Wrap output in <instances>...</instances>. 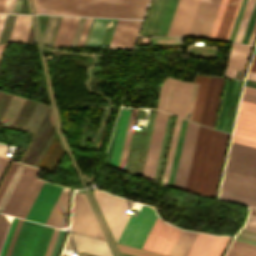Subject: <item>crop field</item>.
Masks as SVG:
<instances>
[{
    "instance_id": "1",
    "label": "crop field",
    "mask_w": 256,
    "mask_h": 256,
    "mask_svg": "<svg viewBox=\"0 0 256 256\" xmlns=\"http://www.w3.org/2000/svg\"><path fill=\"white\" fill-rule=\"evenodd\" d=\"M228 136L200 125L186 191L214 197Z\"/></svg>"
},
{
    "instance_id": "2",
    "label": "crop field",
    "mask_w": 256,
    "mask_h": 256,
    "mask_svg": "<svg viewBox=\"0 0 256 256\" xmlns=\"http://www.w3.org/2000/svg\"><path fill=\"white\" fill-rule=\"evenodd\" d=\"M37 13L142 19L148 0H33Z\"/></svg>"
},
{
    "instance_id": "3",
    "label": "crop field",
    "mask_w": 256,
    "mask_h": 256,
    "mask_svg": "<svg viewBox=\"0 0 256 256\" xmlns=\"http://www.w3.org/2000/svg\"><path fill=\"white\" fill-rule=\"evenodd\" d=\"M209 79L210 77H207V76L196 75L194 85H193V83H190V82H183V81L176 82L175 79H173L172 81V79L167 77L166 81L163 82L162 84L157 109L165 112L168 95L170 91V86H171V81H172L170 96H169L167 110H166V112L169 113L172 96L174 92V87H175V82H176V87H175V92H174L170 113L185 119L188 103L190 99L191 89L193 85L186 119L199 123Z\"/></svg>"
},
{
    "instance_id": "4",
    "label": "crop field",
    "mask_w": 256,
    "mask_h": 256,
    "mask_svg": "<svg viewBox=\"0 0 256 256\" xmlns=\"http://www.w3.org/2000/svg\"><path fill=\"white\" fill-rule=\"evenodd\" d=\"M53 230L24 220L11 256H44Z\"/></svg>"
},
{
    "instance_id": "5",
    "label": "crop field",
    "mask_w": 256,
    "mask_h": 256,
    "mask_svg": "<svg viewBox=\"0 0 256 256\" xmlns=\"http://www.w3.org/2000/svg\"><path fill=\"white\" fill-rule=\"evenodd\" d=\"M93 196L112 236L117 241L129 217L127 211L132 202L108 195L97 189L93 191Z\"/></svg>"
},
{
    "instance_id": "6",
    "label": "crop field",
    "mask_w": 256,
    "mask_h": 256,
    "mask_svg": "<svg viewBox=\"0 0 256 256\" xmlns=\"http://www.w3.org/2000/svg\"><path fill=\"white\" fill-rule=\"evenodd\" d=\"M178 0H152L140 35H166Z\"/></svg>"
},
{
    "instance_id": "7",
    "label": "crop field",
    "mask_w": 256,
    "mask_h": 256,
    "mask_svg": "<svg viewBox=\"0 0 256 256\" xmlns=\"http://www.w3.org/2000/svg\"><path fill=\"white\" fill-rule=\"evenodd\" d=\"M156 217L153 208L142 206L139 214L130 216L118 242L141 248Z\"/></svg>"
},
{
    "instance_id": "8",
    "label": "crop field",
    "mask_w": 256,
    "mask_h": 256,
    "mask_svg": "<svg viewBox=\"0 0 256 256\" xmlns=\"http://www.w3.org/2000/svg\"><path fill=\"white\" fill-rule=\"evenodd\" d=\"M70 231L106 240L85 196L82 194L76 193L74 196Z\"/></svg>"
},
{
    "instance_id": "9",
    "label": "crop field",
    "mask_w": 256,
    "mask_h": 256,
    "mask_svg": "<svg viewBox=\"0 0 256 256\" xmlns=\"http://www.w3.org/2000/svg\"><path fill=\"white\" fill-rule=\"evenodd\" d=\"M156 110H150L146 129L134 132L125 169L129 174L141 175L146 157L148 143L151 135Z\"/></svg>"
},
{
    "instance_id": "10",
    "label": "crop field",
    "mask_w": 256,
    "mask_h": 256,
    "mask_svg": "<svg viewBox=\"0 0 256 256\" xmlns=\"http://www.w3.org/2000/svg\"><path fill=\"white\" fill-rule=\"evenodd\" d=\"M225 170L256 178V148L231 142Z\"/></svg>"
},
{
    "instance_id": "11",
    "label": "crop field",
    "mask_w": 256,
    "mask_h": 256,
    "mask_svg": "<svg viewBox=\"0 0 256 256\" xmlns=\"http://www.w3.org/2000/svg\"><path fill=\"white\" fill-rule=\"evenodd\" d=\"M179 232L180 229L166 224L157 217L142 248L168 255Z\"/></svg>"
},
{
    "instance_id": "12",
    "label": "crop field",
    "mask_w": 256,
    "mask_h": 256,
    "mask_svg": "<svg viewBox=\"0 0 256 256\" xmlns=\"http://www.w3.org/2000/svg\"><path fill=\"white\" fill-rule=\"evenodd\" d=\"M62 187L43 183L26 219L45 224Z\"/></svg>"
},
{
    "instance_id": "13",
    "label": "crop field",
    "mask_w": 256,
    "mask_h": 256,
    "mask_svg": "<svg viewBox=\"0 0 256 256\" xmlns=\"http://www.w3.org/2000/svg\"><path fill=\"white\" fill-rule=\"evenodd\" d=\"M167 114L158 112L156 113L155 122L152 130L150 144L147 152L145 166L143 170V177L152 179L154 178L155 169L158 161L160 147L163 139L165 125L167 121Z\"/></svg>"
},
{
    "instance_id": "14",
    "label": "crop field",
    "mask_w": 256,
    "mask_h": 256,
    "mask_svg": "<svg viewBox=\"0 0 256 256\" xmlns=\"http://www.w3.org/2000/svg\"><path fill=\"white\" fill-rule=\"evenodd\" d=\"M198 127H199L198 124H195L189 121L187 123L182 150H181L177 172L175 176V181L173 185L174 188H180L183 190L185 188Z\"/></svg>"
},
{
    "instance_id": "15",
    "label": "crop field",
    "mask_w": 256,
    "mask_h": 256,
    "mask_svg": "<svg viewBox=\"0 0 256 256\" xmlns=\"http://www.w3.org/2000/svg\"><path fill=\"white\" fill-rule=\"evenodd\" d=\"M241 0H222L210 37L227 41Z\"/></svg>"
},
{
    "instance_id": "16",
    "label": "crop field",
    "mask_w": 256,
    "mask_h": 256,
    "mask_svg": "<svg viewBox=\"0 0 256 256\" xmlns=\"http://www.w3.org/2000/svg\"><path fill=\"white\" fill-rule=\"evenodd\" d=\"M221 0H200L188 36L208 38Z\"/></svg>"
},
{
    "instance_id": "17",
    "label": "crop field",
    "mask_w": 256,
    "mask_h": 256,
    "mask_svg": "<svg viewBox=\"0 0 256 256\" xmlns=\"http://www.w3.org/2000/svg\"><path fill=\"white\" fill-rule=\"evenodd\" d=\"M235 82H236V80H231V79H227V81H226V85H225V89H224V93H223V97H222V101H221V106H220V110H219V114H218V118H217V122H216V126H215L216 129H220L223 131L225 130V126H226V122H227V118H228V114H229V110H230V106H231V102H232V101H230V98H231V95H233V93H234ZM242 82L243 81L237 80L236 88H241ZM236 88H235V91H236ZM240 91H241V89H237V94H236L233 110L231 107L232 115H231V111L229 114L226 130H225L227 132L230 115H231V120H230V125H229V130H228L229 133H231V130H232ZM234 96H235V94H234ZM234 96H232V98H231V100H233V101H234ZM232 105H233V103H232Z\"/></svg>"
},
{
    "instance_id": "18",
    "label": "crop field",
    "mask_w": 256,
    "mask_h": 256,
    "mask_svg": "<svg viewBox=\"0 0 256 256\" xmlns=\"http://www.w3.org/2000/svg\"><path fill=\"white\" fill-rule=\"evenodd\" d=\"M39 169L25 166L3 213L16 216L24 198L26 197Z\"/></svg>"
},
{
    "instance_id": "19",
    "label": "crop field",
    "mask_w": 256,
    "mask_h": 256,
    "mask_svg": "<svg viewBox=\"0 0 256 256\" xmlns=\"http://www.w3.org/2000/svg\"><path fill=\"white\" fill-rule=\"evenodd\" d=\"M199 0H179L167 35H188Z\"/></svg>"
},
{
    "instance_id": "20",
    "label": "crop field",
    "mask_w": 256,
    "mask_h": 256,
    "mask_svg": "<svg viewBox=\"0 0 256 256\" xmlns=\"http://www.w3.org/2000/svg\"><path fill=\"white\" fill-rule=\"evenodd\" d=\"M65 248L97 255V256H112L107 242L70 233Z\"/></svg>"
},
{
    "instance_id": "21",
    "label": "crop field",
    "mask_w": 256,
    "mask_h": 256,
    "mask_svg": "<svg viewBox=\"0 0 256 256\" xmlns=\"http://www.w3.org/2000/svg\"><path fill=\"white\" fill-rule=\"evenodd\" d=\"M231 141L256 147V116L238 112Z\"/></svg>"
},
{
    "instance_id": "22",
    "label": "crop field",
    "mask_w": 256,
    "mask_h": 256,
    "mask_svg": "<svg viewBox=\"0 0 256 256\" xmlns=\"http://www.w3.org/2000/svg\"><path fill=\"white\" fill-rule=\"evenodd\" d=\"M223 80L224 78L211 77L200 121L201 124L212 128L215 122Z\"/></svg>"
},
{
    "instance_id": "23",
    "label": "crop field",
    "mask_w": 256,
    "mask_h": 256,
    "mask_svg": "<svg viewBox=\"0 0 256 256\" xmlns=\"http://www.w3.org/2000/svg\"><path fill=\"white\" fill-rule=\"evenodd\" d=\"M252 47L233 43L224 76L235 77L237 70H242L237 72L236 77H239L240 72L239 78L243 77Z\"/></svg>"
},
{
    "instance_id": "24",
    "label": "crop field",
    "mask_w": 256,
    "mask_h": 256,
    "mask_svg": "<svg viewBox=\"0 0 256 256\" xmlns=\"http://www.w3.org/2000/svg\"><path fill=\"white\" fill-rule=\"evenodd\" d=\"M70 190L63 188L47 222L46 225L54 227L67 226L68 219V203Z\"/></svg>"
},
{
    "instance_id": "25",
    "label": "crop field",
    "mask_w": 256,
    "mask_h": 256,
    "mask_svg": "<svg viewBox=\"0 0 256 256\" xmlns=\"http://www.w3.org/2000/svg\"><path fill=\"white\" fill-rule=\"evenodd\" d=\"M140 23L124 20L114 48L132 49Z\"/></svg>"
},
{
    "instance_id": "26",
    "label": "crop field",
    "mask_w": 256,
    "mask_h": 256,
    "mask_svg": "<svg viewBox=\"0 0 256 256\" xmlns=\"http://www.w3.org/2000/svg\"><path fill=\"white\" fill-rule=\"evenodd\" d=\"M130 111L131 109L123 107L120 120H119L118 130H117L112 158L110 162V166H113L116 168L118 166V162L121 154V149L124 141V136H125V132L128 124Z\"/></svg>"
},
{
    "instance_id": "27",
    "label": "crop field",
    "mask_w": 256,
    "mask_h": 256,
    "mask_svg": "<svg viewBox=\"0 0 256 256\" xmlns=\"http://www.w3.org/2000/svg\"><path fill=\"white\" fill-rule=\"evenodd\" d=\"M30 25H31V20L29 16L17 15L8 42L25 43Z\"/></svg>"
},
{
    "instance_id": "28",
    "label": "crop field",
    "mask_w": 256,
    "mask_h": 256,
    "mask_svg": "<svg viewBox=\"0 0 256 256\" xmlns=\"http://www.w3.org/2000/svg\"><path fill=\"white\" fill-rule=\"evenodd\" d=\"M197 233L187 232L182 230L170 255L171 256H186Z\"/></svg>"
},
{
    "instance_id": "29",
    "label": "crop field",
    "mask_w": 256,
    "mask_h": 256,
    "mask_svg": "<svg viewBox=\"0 0 256 256\" xmlns=\"http://www.w3.org/2000/svg\"><path fill=\"white\" fill-rule=\"evenodd\" d=\"M79 18L66 17L56 46H69Z\"/></svg>"
},
{
    "instance_id": "30",
    "label": "crop field",
    "mask_w": 256,
    "mask_h": 256,
    "mask_svg": "<svg viewBox=\"0 0 256 256\" xmlns=\"http://www.w3.org/2000/svg\"><path fill=\"white\" fill-rule=\"evenodd\" d=\"M214 237L198 233L187 256H205Z\"/></svg>"
},
{
    "instance_id": "31",
    "label": "crop field",
    "mask_w": 256,
    "mask_h": 256,
    "mask_svg": "<svg viewBox=\"0 0 256 256\" xmlns=\"http://www.w3.org/2000/svg\"><path fill=\"white\" fill-rule=\"evenodd\" d=\"M108 19H95L86 46L99 47Z\"/></svg>"
},
{
    "instance_id": "32",
    "label": "crop field",
    "mask_w": 256,
    "mask_h": 256,
    "mask_svg": "<svg viewBox=\"0 0 256 256\" xmlns=\"http://www.w3.org/2000/svg\"><path fill=\"white\" fill-rule=\"evenodd\" d=\"M186 123H187V121L182 119L179 134H178V139H177V143H176V148H175V152H174V156H173V161H172V165H171V170H170V174H169V179H168V183H167V185L171 186V187H172L173 181H174V176H175L178 158H179V154H180V150H181V145H182V141H183Z\"/></svg>"
},
{
    "instance_id": "33",
    "label": "crop field",
    "mask_w": 256,
    "mask_h": 256,
    "mask_svg": "<svg viewBox=\"0 0 256 256\" xmlns=\"http://www.w3.org/2000/svg\"><path fill=\"white\" fill-rule=\"evenodd\" d=\"M173 119H174V117L169 115L165 134H164V139H163V143H162V148H161V152H160V156H159V161H158V165H157V170H156V174H155V178H154V181H156V182L159 181V177H160V173H161V169H162V165H163V160H164V156H165V152H166V148H167V144H168V140H169V135H170Z\"/></svg>"
},
{
    "instance_id": "34",
    "label": "crop field",
    "mask_w": 256,
    "mask_h": 256,
    "mask_svg": "<svg viewBox=\"0 0 256 256\" xmlns=\"http://www.w3.org/2000/svg\"><path fill=\"white\" fill-rule=\"evenodd\" d=\"M181 119L177 117L161 184L166 185Z\"/></svg>"
},
{
    "instance_id": "35",
    "label": "crop field",
    "mask_w": 256,
    "mask_h": 256,
    "mask_svg": "<svg viewBox=\"0 0 256 256\" xmlns=\"http://www.w3.org/2000/svg\"><path fill=\"white\" fill-rule=\"evenodd\" d=\"M41 184H42V181H39V180L35 179L27 197L25 198V200H24V202H23V204H22V206H21V208H20V210L17 214V217H20V218H23V219L25 218V216H26V214H27V212H28V210H29V208H30V206H31V204H32L40 186H41Z\"/></svg>"
},
{
    "instance_id": "36",
    "label": "crop field",
    "mask_w": 256,
    "mask_h": 256,
    "mask_svg": "<svg viewBox=\"0 0 256 256\" xmlns=\"http://www.w3.org/2000/svg\"><path fill=\"white\" fill-rule=\"evenodd\" d=\"M136 111H137V109H132V112H131V116H130V120H129V124H128V128H127V133H126V137H125V141H124V145H123V150H122V154H121V158H120V162H119V166H118V168L121 170L124 169Z\"/></svg>"
},
{
    "instance_id": "37",
    "label": "crop field",
    "mask_w": 256,
    "mask_h": 256,
    "mask_svg": "<svg viewBox=\"0 0 256 256\" xmlns=\"http://www.w3.org/2000/svg\"><path fill=\"white\" fill-rule=\"evenodd\" d=\"M255 0H248L234 41L240 43Z\"/></svg>"
},
{
    "instance_id": "38",
    "label": "crop field",
    "mask_w": 256,
    "mask_h": 256,
    "mask_svg": "<svg viewBox=\"0 0 256 256\" xmlns=\"http://www.w3.org/2000/svg\"><path fill=\"white\" fill-rule=\"evenodd\" d=\"M23 168H24V165L19 164V166H18L16 172L14 173L11 181L9 182L5 192L3 193V195L0 199V212H2L7 200H8V198H9V196H10V194H11V192H12V190H13V188H14V186H15V184H16V182H17V180H18V178H19V176L22 172V170H23Z\"/></svg>"
},
{
    "instance_id": "39",
    "label": "crop field",
    "mask_w": 256,
    "mask_h": 256,
    "mask_svg": "<svg viewBox=\"0 0 256 256\" xmlns=\"http://www.w3.org/2000/svg\"><path fill=\"white\" fill-rule=\"evenodd\" d=\"M219 198L256 207V199L238 195V194H234V193H230V192H226V191H222V190L220 192Z\"/></svg>"
},
{
    "instance_id": "40",
    "label": "crop field",
    "mask_w": 256,
    "mask_h": 256,
    "mask_svg": "<svg viewBox=\"0 0 256 256\" xmlns=\"http://www.w3.org/2000/svg\"><path fill=\"white\" fill-rule=\"evenodd\" d=\"M230 237H215L206 256H221Z\"/></svg>"
},
{
    "instance_id": "41",
    "label": "crop field",
    "mask_w": 256,
    "mask_h": 256,
    "mask_svg": "<svg viewBox=\"0 0 256 256\" xmlns=\"http://www.w3.org/2000/svg\"><path fill=\"white\" fill-rule=\"evenodd\" d=\"M226 256H256V251L231 245Z\"/></svg>"
},
{
    "instance_id": "42",
    "label": "crop field",
    "mask_w": 256,
    "mask_h": 256,
    "mask_svg": "<svg viewBox=\"0 0 256 256\" xmlns=\"http://www.w3.org/2000/svg\"><path fill=\"white\" fill-rule=\"evenodd\" d=\"M117 246L119 250L122 252L130 253L138 256H163V255H159V254H155V253H151V252H147V251H143V250H139V249H135V248L119 245V244H117Z\"/></svg>"
},
{
    "instance_id": "43",
    "label": "crop field",
    "mask_w": 256,
    "mask_h": 256,
    "mask_svg": "<svg viewBox=\"0 0 256 256\" xmlns=\"http://www.w3.org/2000/svg\"><path fill=\"white\" fill-rule=\"evenodd\" d=\"M17 166H18V164L12 161L7 173L5 174L3 180L0 184V197H1L2 193L4 192L8 182L10 181L13 173L15 172Z\"/></svg>"
},
{
    "instance_id": "44",
    "label": "crop field",
    "mask_w": 256,
    "mask_h": 256,
    "mask_svg": "<svg viewBox=\"0 0 256 256\" xmlns=\"http://www.w3.org/2000/svg\"><path fill=\"white\" fill-rule=\"evenodd\" d=\"M7 146L0 144V180L6 170V167L10 161L11 158H9L5 152Z\"/></svg>"
},
{
    "instance_id": "45",
    "label": "crop field",
    "mask_w": 256,
    "mask_h": 256,
    "mask_svg": "<svg viewBox=\"0 0 256 256\" xmlns=\"http://www.w3.org/2000/svg\"><path fill=\"white\" fill-rule=\"evenodd\" d=\"M238 111L256 115V104L241 100Z\"/></svg>"
},
{
    "instance_id": "46",
    "label": "crop field",
    "mask_w": 256,
    "mask_h": 256,
    "mask_svg": "<svg viewBox=\"0 0 256 256\" xmlns=\"http://www.w3.org/2000/svg\"><path fill=\"white\" fill-rule=\"evenodd\" d=\"M65 231H59V234L57 236V239H56V242L54 244V247H53V250L51 252V255L50 256H57L58 255V252H59V249L61 247V244H62V241H63V238L65 236Z\"/></svg>"
},
{
    "instance_id": "47",
    "label": "crop field",
    "mask_w": 256,
    "mask_h": 256,
    "mask_svg": "<svg viewBox=\"0 0 256 256\" xmlns=\"http://www.w3.org/2000/svg\"><path fill=\"white\" fill-rule=\"evenodd\" d=\"M236 237L256 242V233L255 232H251V231L241 229Z\"/></svg>"
},
{
    "instance_id": "48",
    "label": "crop field",
    "mask_w": 256,
    "mask_h": 256,
    "mask_svg": "<svg viewBox=\"0 0 256 256\" xmlns=\"http://www.w3.org/2000/svg\"><path fill=\"white\" fill-rule=\"evenodd\" d=\"M22 221H23V220H21V219L18 220V223H17V225H16L15 231H14V233H13L11 242H10V244H9V247H8V250H7L5 256H10L11 250H12V248H13V245H14V242H15V240H16V237H17V234H18V232H19V229H20V226H21V224H22Z\"/></svg>"
},
{
    "instance_id": "49",
    "label": "crop field",
    "mask_w": 256,
    "mask_h": 256,
    "mask_svg": "<svg viewBox=\"0 0 256 256\" xmlns=\"http://www.w3.org/2000/svg\"><path fill=\"white\" fill-rule=\"evenodd\" d=\"M17 220H18V219H16V218L13 219V222H12V224H11V227H10L8 236H7V238H6V241H5L3 250L1 249L2 252H1V255H0V256H4V255H5V252H6V250H7L8 244H9V242H10V239H11L12 233H13V231H14L15 225H16V223H17Z\"/></svg>"
},
{
    "instance_id": "50",
    "label": "crop field",
    "mask_w": 256,
    "mask_h": 256,
    "mask_svg": "<svg viewBox=\"0 0 256 256\" xmlns=\"http://www.w3.org/2000/svg\"><path fill=\"white\" fill-rule=\"evenodd\" d=\"M8 225L9 223L7 222V220L4 218L3 215L0 214V246L3 241Z\"/></svg>"
},
{
    "instance_id": "51",
    "label": "crop field",
    "mask_w": 256,
    "mask_h": 256,
    "mask_svg": "<svg viewBox=\"0 0 256 256\" xmlns=\"http://www.w3.org/2000/svg\"><path fill=\"white\" fill-rule=\"evenodd\" d=\"M243 228L252 230V231H256V216L249 214L247 222Z\"/></svg>"
},
{
    "instance_id": "52",
    "label": "crop field",
    "mask_w": 256,
    "mask_h": 256,
    "mask_svg": "<svg viewBox=\"0 0 256 256\" xmlns=\"http://www.w3.org/2000/svg\"><path fill=\"white\" fill-rule=\"evenodd\" d=\"M123 20H118L108 48H113Z\"/></svg>"
},
{
    "instance_id": "53",
    "label": "crop field",
    "mask_w": 256,
    "mask_h": 256,
    "mask_svg": "<svg viewBox=\"0 0 256 256\" xmlns=\"http://www.w3.org/2000/svg\"><path fill=\"white\" fill-rule=\"evenodd\" d=\"M92 18H87L77 46H82Z\"/></svg>"
},
{
    "instance_id": "54",
    "label": "crop field",
    "mask_w": 256,
    "mask_h": 256,
    "mask_svg": "<svg viewBox=\"0 0 256 256\" xmlns=\"http://www.w3.org/2000/svg\"><path fill=\"white\" fill-rule=\"evenodd\" d=\"M16 0H6L2 12L12 13Z\"/></svg>"
},
{
    "instance_id": "55",
    "label": "crop field",
    "mask_w": 256,
    "mask_h": 256,
    "mask_svg": "<svg viewBox=\"0 0 256 256\" xmlns=\"http://www.w3.org/2000/svg\"><path fill=\"white\" fill-rule=\"evenodd\" d=\"M58 231H59V230H57V229L54 230V233H53V235H52V238H51V241H50V243H49V246H48V249H47V251H46L45 256H49V255H50V252H51V250H52V247H53V244H54V242H55V239H56V236H57V234H58Z\"/></svg>"
},
{
    "instance_id": "56",
    "label": "crop field",
    "mask_w": 256,
    "mask_h": 256,
    "mask_svg": "<svg viewBox=\"0 0 256 256\" xmlns=\"http://www.w3.org/2000/svg\"><path fill=\"white\" fill-rule=\"evenodd\" d=\"M232 244L256 250L255 245H251V244H247V243H243L235 240L233 241Z\"/></svg>"
},
{
    "instance_id": "57",
    "label": "crop field",
    "mask_w": 256,
    "mask_h": 256,
    "mask_svg": "<svg viewBox=\"0 0 256 256\" xmlns=\"http://www.w3.org/2000/svg\"><path fill=\"white\" fill-rule=\"evenodd\" d=\"M241 99L256 103V96H253V95L243 93Z\"/></svg>"
},
{
    "instance_id": "58",
    "label": "crop field",
    "mask_w": 256,
    "mask_h": 256,
    "mask_svg": "<svg viewBox=\"0 0 256 256\" xmlns=\"http://www.w3.org/2000/svg\"><path fill=\"white\" fill-rule=\"evenodd\" d=\"M255 38H256V22H255V25H254V28H253V31H252V34H251V37H250V40H249L248 44L253 45L254 41H255Z\"/></svg>"
},
{
    "instance_id": "59",
    "label": "crop field",
    "mask_w": 256,
    "mask_h": 256,
    "mask_svg": "<svg viewBox=\"0 0 256 256\" xmlns=\"http://www.w3.org/2000/svg\"><path fill=\"white\" fill-rule=\"evenodd\" d=\"M64 18H65V17H62V18H61V21H60V24H59V27H58V30H57V33H56V36H55V39H54V42H53V45H52V46H55V44H56V41H57L59 32H60V30H61V27H62Z\"/></svg>"
},
{
    "instance_id": "60",
    "label": "crop field",
    "mask_w": 256,
    "mask_h": 256,
    "mask_svg": "<svg viewBox=\"0 0 256 256\" xmlns=\"http://www.w3.org/2000/svg\"><path fill=\"white\" fill-rule=\"evenodd\" d=\"M137 118L146 119V112L144 110L138 109L136 119Z\"/></svg>"
},
{
    "instance_id": "61",
    "label": "crop field",
    "mask_w": 256,
    "mask_h": 256,
    "mask_svg": "<svg viewBox=\"0 0 256 256\" xmlns=\"http://www.w3.org/2000/svg\"><path fill=\"white\" fill-rule=\"evenodd\" d=\"M246 79L256 81V73L249 71Z\"/></svg>"
},
{
    "instance_id": "62",
    "label": "crop field",
    "mask_w": 256,
    "mask_h": 256,
    "mask_svg": "<svg viewBox=\"0 0 256 256\" xmlns=\"http://www.w3.org/2000/svg\"><path fill=\"white\" fill-rule=\"evenodd\" d=\"M249 70L256 72V54L254 55V58H253V61L251 63V66H250Z\"/></svg>"
},
{
    "instance_id": "63",
    "label": "crop field",
    "mask_w": 256,
    "mask_h": 256,
    "mask_svg": "<svg viewBox=\"0 0 256 256\" xmlns=\"http://www.w3.org/2000/svg\"><path fill=\"white\" fill-rule=\"evenodd\" d=\"M243 92L256 95V90L244 87Z\"/></svg>"
},
{
    "instance_id": "64",
    "label": "crop field",
    "mask_w": 256,
    "mask_h": 256,
    "mask_svg": "<svg viewBox=\"0 0 256 256\" xmlns=\"http://www.w3.org/2000/svg\"><path fill=\"white\" fill-rule=\"evenodd\" d=\"M5 16L6 15H0V33H1V29H2L3 23H4Z\"/></svg>"
},
{
    "instance_id": "65",
    "label": "crop field",
    "mask_w": 256,
    "mask_h": 256,
    "mask_svg": "<svg viewBox=\"0 0 256 256\" xmlns=\"http://www.w3.org/2000/svg\"><path fill=\"white\" fill-rule=\"evenodd\" d=\"M5 47H6V44L0 45V58H1L2 54H3V51H4Z\"/></svg>"
},
{
    "instance_id": "66",
    "label": "crop field",
    "mask_w": 256,
    "mask_h": 256,
    "mask_svg": "<svg viewBox=\"0 0 256 256\" xmlns=\"http://www.w3.org/2000/svg\"><path fill=\"white\" fill-rule=\"evenodd\" d=\"M4 1H5V0H0V12L2 11Z\"/></svg>"
},
{
    "instance_id": "67",
    "label": "crop field",
    "mask_w": 256,
    "mask_h": 256,
    "mask_svg": "<svg viewBox=\"0 0 256 256\" xmlns=\"http://www.w3.org/2000/svg\"><path fill=\"white\" fill-rule=\"evenodd\" d=\"M245 83H247V84H251V85H255L256 86V84H253V83H250V82H245ZM247 84H245L246 86H250V87H254V88H256L255 86H251V85H247Z\"/></svg>"
},
{
    "instance_id": "68",
    "label": "crop field",
    "mask_w": 256,
    "mask_h": 256,
    "mask_svg": "<svg viewBox=\"0 0 256 256\" xmlns=\"http://www.w3.org/2000/svg\"><path fill=\"white\" fill-rule=\"evenodd\" d=\"M251 210H252V212H251ZM249 213L256 215V209L250 208V212Z\"/></svg>"
},
{
    "instance_id": "69",
    "label": "crop field",
    "mask_w": 256,
    "mask_h": 256,
    "mask_svg": "<svg viewBox=\"0 0 256 256\" xmlns=\"http://www.w3.org/2000/svg\"><path fill=\"white\" fill-rule=\"evenodd\" d=\"M236 240H240V241H244V242H248V243H252V244H256V243H253V242H249V241H245V240H241V239H237L235 238Z\"/></svg>"
},
{
    "instance_id": "70",
    "label": "crop field",
    "mask_w": 256,
    "mask_h": 256,
    "mask_svg": "<svg viewBox=\"0 0 256 256\" xmlns=\"http://www.w3.org/2000/svg\"><path fill=\"white\" fill-rule=\"evenodd\" d=\"M62 256H63V255H62ZM80 256H84V255L81 254Z\"/></svg>"
},
{
    "instance_id": "71",
    "label": "crop field",
    "mask_w": 256,
    "mask_h": 256,
    "mask_svg": "<svg viewBox=\"0 0 256 256\" xmlns=\"http://www.w3.org/2000/svg\"><path fill=\"white\" fill-rule=\"evenodd\" d=\"M248 81V80H247ZM250 82H253V81H250ZM254 83H256V82H254Z\"/></svg>"
},
{
    "instance_id": "72",
    "label": "crop field",
    "mask_w": 256,
    "mask_h": 256,
    "mask_svg": "<svg viewBox=\"0 0 256 256\" xmlns=\"http://www.w3.org/2000/svg\"><path fill=\"white\" fill-rule=\"evenodd\" d=\"M256 53V52H255Z\"/></svg>"
}]
</instances>
